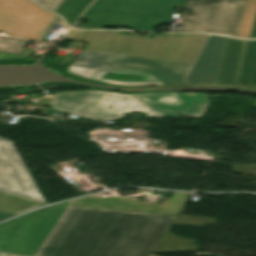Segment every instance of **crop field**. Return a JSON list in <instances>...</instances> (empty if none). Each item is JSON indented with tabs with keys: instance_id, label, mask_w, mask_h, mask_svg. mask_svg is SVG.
Here are the masks:
<instances>
[{
	"instance_id": "1",
	"label": "crop field",
	"mask_w": 256,
	"mask_h": 256,
	"mask_svg": "<svg viewBox=\"0 0 256 256\" xmlns=\"http://www.w3.org/2000/svg\"><path fill=\"white\" fill-rule=\"evenodd\" d=\"M174 218L69 206L37 256H149Z\"/></svg>"
},
{
	"instance_id": "2",
	"label": "crop field",
	"mask_w": 256,
	"mask_h": 256,
	"mask_svg": "<svg viewBox=\"0 0 256 256\" xmlns=\"http://www.w3.org/2000/svg\"><path fill=\"white\" fill-rule=\"evenodd\" d=\"M206 95L147 93L126 95L105 91H75L53 95L51 108L85 119L110 120L143 112L149 117H199L209 102Z\"/></svg>"
},
{
	"instance_id": "3",
	"label": "crop field",
	"mask_w": 256,
	"mask_h": 256,
	"mask_svg": "<svg viewBox=\"0 0 256 256\" xmlns=\"http://www.w3.org/2000/svg\"><path fill=\"white\" fill-rule=\"evenodd\" d=\"M69 39L87 42L83 49L125 54L161 61L193 64L207 35L161 34L153 39L119 36L112 31L70 30Z\"/></svg>"
},
{
	"instance_id": "4",
	"label": "crop field",
	"mask_w": 256,
	"mask_h": 256,
	"mask_svg": "<svg viewBox=\"0 0 256 256\" xmlns=\"http://www.w3.org/2000/svg\"><path fill=\"white\" fill-rule=\"evenodd\" d=\"M190 67L191 65L81 50L67 72L78 77L118 85H175L183 82ZM106 72L147 76L145 80L154 82H119L100 79ZM152 75L161 82L154 79Z\"/></svg>"
},
{
	"instance_id": "5",
	"label": "crop field",
	"mask_w": 256,
	"mask_h": 256,
	"mask_svg": "<svg viewBox=\"0 0 256 256\" xmlns=\"http://www.w3.org/2000/svg\"><path fill=\"white\" fill-rule=\"evenodd\" d=\"M187 0H95L81 16L89 20L83 29L121 24L133 30L153 31L156 24L170 22L175 6Z\"/></svg>"
},
{
	"instance_id": "6",
	"label": "crop field",
	"mask_w": 256,
	"mask_h": 256,
	"mask_svg": "<svg viewBox=\"0 0 256 256\" xmlns=\"http://www.w3.org/2000/svg\"><path fill=\"white\" fill-rule=\"evenodd\" d=\"M245 41L210 35L183 84L235 85Z\"/></svg>"
},
{
	"instance_id": "7",
	"label": "crop field",
	"mask_w": 256,
	"mask_h": 256,
	"mask_svg": "<svg viewBox=\"0 0 256 256\" xmlns=\"http://www.w3.org/2000/svg\"><path fill=\"white\" fill-rule=\"evenodd\" d=\"M67 206L53 205L0 225V251L34 256Z\"/></svg>"
},
{
	"instance_id": "8",
	"label": "crop field",
	"mask_w": 256,
	"mask_h": 256,
	"mask_svg": "<svg viewBox=\"0 0 256 256\" xmlns=\"http://www.w3.org/2000/svg\"><path fill=\"white\" fill-rule=\"evenodd\" d=\"M245 0H188L178 31L236 36Z\"/></svg>"
},
{
	"instance_id": "9",
	"label": "crop field",
	"mask_w": 256,
	"mask_h": 256,
	"mask_svg": "<svg viewBox=\"0 0 256 256\" xmlns=\"http://www.w3.org/2000/svg\"><path fill=\"white\" fill-rule=\"evenodd\" d=\"M53 15L29 0H0V31L40 41Z\"/></svg>"
},
{
	"instance_id": "10",
	"label": "crop field",
	"mask_w": 256,
	"mask_h": 256,
	"mask_svg": "<svg viewBox=\"0 0 256 256\" xmlns=\"http://www.w3.org/2000/svg\"><path fill=\"white\" fill-rule=\"evenodd\" d=\"M0 191L45 203L12 141L1 137Z\"/></svg>"
},
{
	"instance_id": "11",
	"label": "crop field",
	"mask_w": 256,
	"mask_h": 256,
	"mask_svg": "<svg viewBox=\"0 0 256 256\" xmlns=\"http://www.w3.org/2000/svg\"><path fill=\"white\" fill-rule=\"evenodd\" d=\"M188 195L189 194H186V193L175 192L160 214L177 215L178 211L182 207V205L185 202V200L187 199ZM119 198L120 197H109V198L88 197V198L76 200L71 205L128 210V211H139V212H150V211H144V210H137V209L113 206ZM150 213H157V212H150Z\"/></svg>"
},
{
	"instance_id": "12",
	"label": "crop field",
	"mask_w": 256,
	"mask_h": 256,
	"mask_svg": "<svg viewBox=\"0 0 256 256\" xmlns=\"http://www.w3.org/2000/svg\"><path fill=\"white\" fill-rule=\"evenodd\" d=\"M236 85L256 86V41H246Z\"/></svg>"
},
{
	"instance_id": "13",
	"label": "crop field",
	"mask_w": 256,
	"mask_h": 256,
	"mask_svg": "<svg viewBox=\"0 0 256 256\" xmlns=\"http://www.w3.org/2000/svg\"><path fill=\"white\" fill-rule=\"evenodd\" d=\"M196 240L175 237L174 234L164 233L152 253L198 251L199 246L193 245Z\"/></svg>"
},
{
	"instance_id": "14",
	"label": "crop field",
	"mask_w": 256,
	"mask_h": 256,
	"mask_svg": "<svg viewBox=\"0 0 256 256\" xmlns=\"http://www.w3.org/2000/svg\"><path fill=\"white\" fill-rule=\"evenodd\" d=\"M236 37L256 38V0L245 1Z\"/></svg>"
},
{
	"instance_id": "15",
	"label": "crop field",
	"mask_w": 256,
	"mask_h": 256,
	"mask_svg": "<svg viewBox=\"0 0 256 256\" xmlns=\"http://www.w3.org/2000/svg\"><path fill=\"white\" fill-rule=\"evenodd\" d=\"M91 1L92 0H64L55 12L61 14L68 22H74Z\"/></svg>"
},
{
	"instance_id": "16",
	"label": "crop field",
	"mask_w": 256,
	"mask_h": 256,
	"mask_svg": "<svg viewBox=\"0 0 256 256\" xmlns=\"http://www.w3.org/2000/svg\"><path fill=\"white\" fill-rule=\"evenodd\" d=\"M10 37L0 36V51L10 52L19 55L27 41L11 40Z\"/></svg>"
},
{
	"instance_id": "17",
	"label": "crop field",
	"mask_w": 256,
	"mask_h": 256,
	"mask_svg": "<svg viewBox=\"0 0 256 256\" xmlns=\"http://www.w3.org/2000/svg\"><path fill=\"white\" fill-rule=\"evenodd\" d=\"M115 205L150 210V211H157V212H161V210L163 209L162 206L153 205V204H149V203L144 204L140 201H136V200H132V199L124 198V197H121Z\"/></svg>"
},
{
	"instance_id": "18",
	"label": "crop field",
	"mask_w": 256,
	"mask_h": 256,
	"mask_svg": "<svg viewBox=\"0 0 256 256\" xmlns=\"http://www.w3.org/2000/svg\"><path fill=\"white\" fill-rule=\"evenodd\" d=\"M217 219L178 216L173 224L205 227L206 223L214 224Z\"/></svg>"
},
{
	"instance_id": "19",
	"label": "crop field",
	"mask_w": 256,
	"mask_h": 256,
	"mask_svg": "<svg viewBox=\"0 0 256 256\" xmlns=\"http://www.w3.org/2000/svg\"><path fill=\"white\" fill-rule=\"evenodd\" d=\"M36 1L55 11L56 8L61 4L63 0H36Z\"/></svg>"
},
{
	"instance_id": "20",
	"label": "crop field",
	"mask_w": 256,
	"mask_h": 256,
	"mask_svg": "<svg viewBox=\"0 0 256 256\" xmlns=\"http://www.w3.org/2000/svg\"><path fill=\"white\" fill-rule=\"evenodd\" d=\"M17 55H13L10 53L0 52V60H7V59H16Z\"/></svg>"
},
{
	"instance_id": "21",
	"label": "crop field",
	"mask_w": 256,
	"mask_h": 256,
	"mask_svg": "<svg viewBox=\"0 0 256 256\" xmlns=\"http://www.w3.org/2000/svg\"><path fill=\"white\" fill-rule=\"evenodd\" d=\"M12 216H14V215H10V214L0 212V221L4 220L6 218L12 217Z\"/></svg>"
},
{
	"instance_id": "22",
	"label": "crop field",
	"mask_w": 256,
	"mask_h": 256,
	"mask_svg": "<svg viewBox=\"0 0 256 256\" xmlns=\"http://www.w3.org/2000/svg\"><path fill=\"white\" fill-rule=\"evenodd\" d=\"M70 201L64 202V203H60L62 205H69Z\"/></svg>"
},
{
	"instance_id": "23",
	"label": "crop field",
	"mask_w": 256,
	"mask_h": 256,
	"mask_svg": "<svg viewBox=\"0 0 256 256\" xmlns=\"http://www.w3.org/2000/svg\"><path fill=\"white\" fill-rule=\"evenodd\" d=\"M150 256H155V255L150 254Z\"/></svg>"
}]
</instances>
